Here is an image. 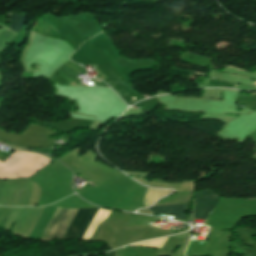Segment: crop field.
<instances>
[{
	"label": "crop field",
	"instance_id": "ac0d7876",
	"mask_svg": "<svg viewBox=\"0 0 256 256\" xmlns=\"http://www.w3.org/2000/svg\"><path fill=\"white\" fill-rule=\"evenodd\" d=\"M97 209H79L64 239H83Z\"/></svg>",
	"mask_w": 256,
	"mask_h": 256
},
{
	"label": "crop field",
	"instance_id": "8a807250",
	"mask_svg": "<svg viewBox=\"0 0 256 256\" xmlns=\"http://www.w3.org/2000/svg\"><path fill=\"white\" fill-rule=\"evenodd\" d=\"M77 211L78 209H64L57 207L43 232L41 240H52L53 237L63 239L64 234Z\"/></svg>",
	"mask_w": 256,
	"mask_h": 256
},
{
	"label": "crop field",
	"instance_id": "412701ff",
	"mask_svg": "<svg viewBox=\"0 0 256 256\" xmlns=\"http://www.w3.org/2000/svg\"><path fill=\"white\" fill-rule=\"evenodd\" d=\"M26 16H27L26 14H17V13L9 14L10 24L7 27L18 34L19 31L24 26ZM12 31L5 29L0 34V52H2L5 49V47L10 43V41L13 39V37L17 35Z\"/></svg>",
	"mask_w": 256,
	"mask_h": 256
},
{
	"label": "crop field",
	"instance_id": "34b2d1b8",
	"mask_svg": "<svg viewBox=\"0 0 256 256\" xmlns=\"http://www.w3.org/2000/svg\"><path fill=\"white\" fill-rule=\"evenodd\" d=\"M194 197L193 201L196 204L194 219H206L219 200L209 190L195 192Z\"/></svg>",
	"mask_w": 256,
	"mask_h": 256
}]
</instances>
